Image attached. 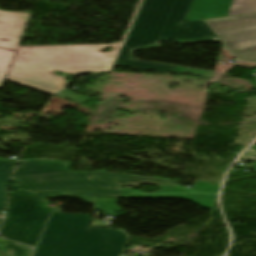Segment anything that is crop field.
Instances as JSON below:
<instances>
[{
    "label": "crop field",
    "mask_w": 256,
    "mask_h": 256,
    "mask_svg": "<svg viewBox=\"0 0 256 256\" xmlns=\"http://www.w3.org/2000/svg\"><path fill=\"white\" fill-rule=\"evenodd\" d=\"M204 21L236 60L256 62V13Z\"/></svg>",
    "instance_id": "obj_5"
},
{
    "label": "crop field",
    "mask_w": 256,
    "mask_h": 256,
    "mask_svg": "<svg viewBox=\"0 0 256 256\" xmlns=\"http://www.w3.org/2000/svg\"><path fill=\"white\" fill-rule=\"evenodd\" d=\"M0 223H1V218H0Z\"/></svg>",
    "instance_id": "obj_18"
},
{
    "label": "crop field",
    "mask_w": 256,
    "mask_h": 256,
    "mask_svg": "<svg viewBox=\"0 0 256 256\" xmlns=\"http://www.w3.org/2000/svg\"><path fill=\"white\" fill-rule=\"evenodd\" d=\"M153 184L159 191L147 194L122 185ZM177 181L104 171L63 173L13 178L11 190L36 196L71 194L126 198L184 199L200 207L213 208L219 185L195 182L194 189Z\"/></svg>",
    "instance_id": "obj_1"
},
{
    "label": "crop field",
    "mask_w": 256,
    "mask_h": 256,
    "mask_svg": "<svg viewBox=\"0 0 256 256\" xmlns=\"http://www.w3.org/2000/svg\"><path fill=\"white\" fill-rule=\"evenodd\" d=\"M91 214H52L34 256H120L126 235L88 228Z\"/></svg>",
    "instance_id": "obj_4"
},
{
    "label": "crop field",
    "mask_w": 256,
    "mask_h": 256,
    "mask_svg": "<svg viewBox=\"0 0 256 256\" xmlns=\"http://www.w3.org/2000/svg\"><path fill=\"white\" fill-rule=\"evenodd\" d=\"M0 256H2L1 253H0Z\"/></svg>",
    "instance_id": "obj_19"
},
{
    "label": "crop field",
    "mask_w": 256,
    "mask_h": 256,
    "mask_svg": "<svg viewBox=\"0 0 256 256\" xmlns=\"http://www.w3.org/2000/svg\"><path fill=\"white\" fill-rule=\"evenodd\" d=\"M14 12L0 11V26L9 27ZM21 41L0 37V89Z\"/></svg>",
    "instance_id": "obj_10"
},
{
    "label": "crop field",
    "mask_w": 256,
    "mask_h": 256,
    "mask_svg": "<svg viewBox=\"0 0 256 256\" xmlns=\"http://www.w3.org/2000/svg\"><path fill=\"white\" fill-rule=\"evenodd\" d=\"M57 97H61V98L71 100V101H74V102H78V103L91 100V99H88L86 97L74 94V93L66 91V90H63L60 94L57 95Z\"/></svg>",
    "instance_id": "obj_15"
},
{
    "label": "crop field",
    "mask_w": 256,
    "mask_h": 256,
    "mask_svg": "<svg viewBox=\"0 0 256 256\" xmlns=\"http://www.w3.org/2000/svg\"><path fill=\"white\" fill-rule=\"evenodd\" d=\"M75 198H80L88 203H93L94 201V198ZM42 199L13 192L7 215L50 213L52 208L42 202Z\"/></svg>",
    "instance_id": "obj_8"
},
{
    "label": "crop field",
    "mask_w": 256,
    "mask_h": 256,
    "mask_svg": "<svg viewBox=\"0 0 256 256\" xmlns=\"http://www.w3.org/2000/svg\"><path fill=\"white\" fill-rule=\"evenodd\" d=\"M7 256H30L32 250L30 247L5 240L2 247Z\"/></svg>",
    "instance_id": "obj_13"
},
{
    "label": "crop field",
    "mask_w": 256,
    "mask_h": 256,
    "mask_svg": "<svg viewBox=\"0 0 256 256\" xmlns=\"http://www.w3.org/2000/svg\"><path fill=\"white\" fill-rule=\"evenodd\" d=\"M48 215L7 216L1 235L35 247Z\"/></svg>",
    "instance_id": "obj_7"
},
{
    "label": "crop field",
    "mask_w": 256,
    "mask_h": 256,
    "mask_svg": "<svg viewBox=\"0 0 256 256\" xmlns=\"http://www.w3.org/2000/svg\"><path fill=\"white\" fill-rule=\"evenodd\" d=\"M63 209L60 208H56L55 211L53 213H62Z\"/></svg>",
    "instance_id": "obj_16"
},
{
    "label": "crop field",
    "mask_w": 256,
    "mask_h": 256,
    "mask_svg": "<svg viewBox=\"0 0 256 256\" xmlns=\"http://www.w3.org/2000/svg\"><path fill=\"white\" fill-rule=\"evenodd\" d=\"M116 202L117 199L97 198L94 210L120 211Z\"/></svg>",
    "instance_id": "obj_14"
},
{
    "label": "crop field",
    "mask_w": 256,
    "mask_h": 256,
    "mask_svg": "<svg viewBox=\"0 0 256 256\" xmlns=\"http://www.w3.org/2000/svg\"><path fill=\"white\" fill-rule=\"evenodd\" d=\"M255 12L256 0H194L185 21Z\"/></svg>",
    "instance_id": "obj_6"
},
{
    "label": "crop field",
    "mask_w": 256,
    "mask_h": 256,
    "mask_svg": "<svg viewBox=\"0 0 256 256\" xmlns=\"http://www.w3.org/2000/svg\"><path fill=\"white\" fill-rule=\"evenodd\" d=\"M122 44L19 47L6 79L55 95L68 73H111ZM55 70L64 76H54Z\"/></svg>",
    "instance_id": "obj_3"
},
{
    "label": "crop field",
    "mask_w": 256,
    "mask_h": 256,
    "mask_svg": "<svg viewBox=\"0 0 256 256\" xmlns=\"http://www.w3.org/2000/svg\"><path fill=\"white\" fill-rule=\"evenodd\" d=\"M251 148H254L256 150V147L255 146H251Z\"/></svg>",
    "instance_id": "obj_17"
},
{
    "label": "crop field",
    "mask_w": 256,
    "mask_h": 256,
    "mask_svg": "<svg viewBox=\"0 0 256 256\" xmlns=\"http://www.w3.org/2000/svg\"><path fill=\"white\" fill-rule=\"evenodd\" d=\"M71 164L57 160H21L14 177L68 172Z\"/></svg>",
    "instance_id": "obj_9"
},
{
    "label": "crop field",
    "mask_w": 256,
    "mask_h": 256,
    "mask_svg": "<svg viewBox=\"0 0 256 256\" xmlns=\"http://www.w3.org/2000/svg\"><path fill=\"white\" fill-rule=\"evenodd\" d=\"M193 0H143L115 65L213 77L214 72L130 60L132 50L156 48L157 42L180 44L220 40L203 20L183 22Z\"/></svg>",
    "instance_id": "obj_2"
},
{
    "label": "crop field",
    "mask_w": 256,
    "mask_h": 256,
    "mask_svg": "<svg viewBox=\"0 0 256 256\" xmlns=\"http://www.w3.org/2000/svg\"><path fill=\"white\" fill-rule=\"evenodd\" d=\"M30 16L15 12L9 29L0 27V36L21 40Z\"/></svg>",
    "instance_id": "obj_11"
},
{
    "label": "crop field",
    "mask_w": 256,
    "mask_h": 256,
    "mask_svg": "<svg viewBox=\"0 0 256 256\" xmlns=\"http://www.w3.org/2000/svg\"><path fill=\"white\" fill-rule=\"evenodd\" d=\"M17 161L0 158V213L5 208L10 175Z\"/></svg>",
    "instance_id": "obj_12"
}]
</instances>
